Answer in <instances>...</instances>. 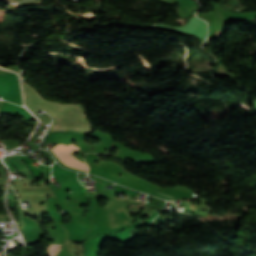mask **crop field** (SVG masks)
Instances as JSON below:
<instances>
[{"label":"crop field","instance_id":"obj_1","mask_svg":"<svg viewBox=\"0 0 256 256\" xmlns=\"http://www.w3.org/2000/svg\"><path fill=\"white\" fill-rule=\"evenodd\" d=\"M25 88L29 108L34 113L44 109L53 116L54 122L48 132L56 130H74L83 133L92 132L82 106L47 102L41 98L36 90L27 84H25Z\"/></svg>","mask_w":256,"mask_h":256},{"label":"crop field","instance_id":"obj_5","mask_svg":"<svg viewBox=\"0 0 256 256\" xmlns=\"http://www.w3.org/2000/svg\"><path fill=\"white\" fill-rule=\"evenodd\" d=\"M180 205H182V204H180ZM184 205V204H183ZM177 206H179V205H177Z\"/></svg>","mask_w":256,"mask_h":256},{"label":"crop field","instance_id":"obj_2","mask_svg":"<svg viewBox=\"0 0 256 256\" xmlns=\"http://www.w3.org/2000/svg\"><path fill=\"white\" fill-rule=\"evenodd\" d=\"M79 148L69 145H57L53 149H51L57 156L58 158L66 165L82 170L88 171V167L85 163H82L78 161L75 157H73L70 153L78 150Z\"/></svg>","mask_w":256,"mask_h":256},{"label":"crop field","instance_id":"obj_4","mask_svg":"<svg viewBox=\"0 0 256 256\" xmlns=\"http://www.w3.org/2000/svg\"><path fill=\"white\" fill-rule=\"evenodd\" d=\"M158 213V211L151 213V214H147V216L152 219L156 214Z\"/></svg>","mask_w":256,"mask_h":256},{"label":"crop field","instance_id":"obj_3","mask_svg":"<svg viewBox=\"0 0 256 256\" xmlns=\"http://www.w3.org/2000/svg\"><path fill=\"white\" fill-rule=\"evenodd\" d=\"M117 210H118V213H119L120 216L129 214L126 207H124V208H119V209H117Z\"/></svg>","mask_w":256,"mask_h":256}]
</instances>
